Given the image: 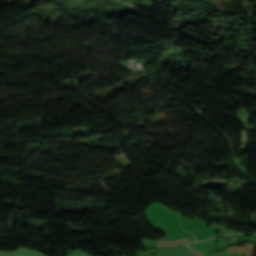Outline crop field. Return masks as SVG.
Masks as SVG:
<instances>
[{"instance_id": "8a807250", "label": "crop field", "mask_w": 256, "mask_h": 256, "mask_svg": "<svg viewBox=\"0 0 256 256\" xmlns=\"http://www.w3.org/2000/svg\"><path fill=\"white\" fill-rule=\"evenodd\" d=\"M187 239H177L171 241H158L156 247H173V246H183Z\"/></svg>"}]
</instances>
